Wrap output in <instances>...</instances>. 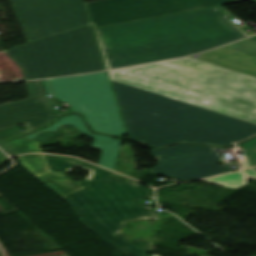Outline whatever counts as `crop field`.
<instances>
[{
  "label": "crop field",
  "mask_w": 256,
  "mask_h": 256,
  "mask_svg": "<svg viewBox=\"0 0 256 256\" xmlns=\"http://www.w3.org/2000/svg\"><path fill=\"white\" fill-rule=\"evenodd\" d=\"M152 256H158V255L152 254Z\"/></svg>",
  "instance_id": "24"
},
{
  "label": "crop field",
  "mask_w": 256,
  "mask_h": 256,
  "mask_svg": "<svg viewBox=\"0 0 256 256\" xmlns=\"http://www.w3.org/2000/svg\"><path fill=\"white\" fill-rule=\"evenodd\" d=\"M44 156L52 172L59 171L65 174L75 166L81 167L90 171L85 181L113 179L118 175L78 159L53 156V155H44Z\"/></svg>",
  "instance_id": "13"
},
{
  "label": "crop field",
  "mask_w": 256,
  "mask_h": 256,
  "mask_svg": "<svg viewBox=\"0 0 256 256\" xmlns=\"http://www.w3.org/2000/svg\"><path fill=\"white\" fill-rule=\"evenodd\" d=\"M4 52L23 68L25 80L105 70L90 25Z\"/></svg>",
  "instance_id": "4"
},
{
  "label": "crop field",
  "mask_w": 256,
  "mask_h": 256,
  "mask_svg": "<svg viewBox=\"0 0 256 256\" xmlns=\"http://www.w3.org/2000/svg\"><path fill=\"white\" fill-rule=\"evenodd\" d=\"M248 178L256 179V170L254 168L203 180V181L238 189L242 185L247 184L246 181L248 180Z\"/></svg>",
  "instance_id": "14"
},
{
  "label": "crop field",
  "mask_w": 256,
  "mask_h": 256,
  "mask_svg": "<svg viewBox=\"0 0 256 256\" xmlns=\"http://www.w3.org/2000/svg\"><path fill=\"white\" fill-rule=\"evenodd\" d=\"M86 188L63 197L84 223L111 245L133 255L149 256L151 242H129L119 236L125 222L158 219L151 209L138 206L136 198H154L153 190L128 181L80 183Z\"/></svg>",
  "instance_id": "3"
},
{
  "label": "crop field",
  "mask_w": 256,
  "mask_h": 256,
  "mask_svg": "<svg viewBox=\"0 0 256 256\" xmlns=\"http://www.w3.org/2000/svg\"><path fill=\"white\" fill-rule=\"evenodd\" d=\"M56 133L57 132H41L33 140L26 141L25 137H21L19 139L8 142V144L15 152V154L24 152H42L38 143L55 137Z\"/></svg>",
  "instance_id": "15"
},
{
  "label": "crop field",
  "mask_w": 256,
  "mask_h": 256,
  "mask_svg": "<svg viewBox=\"0 0 256 256\" xmlns=\"http://www.w3.org/2000/svg\"><path fill=\"white\" fill-rule=\"evenodd\" d=\"M241 146L246 150L253 165H256V138L241 144Z\"/></svg>",
  "instance_id": "16"
},
{
  "label": "crop field",
  "mask_w": 256,
  "mask_h": 256,
  "mask_svg": "<svg viewBox=\"0 0 256 256\" xmlns=\"http://www.w3.org/2000/svg\"><path fill=\"white\" fill-rule=\"evenodd\" d=\"M131 139L226 146L256 135V78L188 57L108 71Z\"/></svg>",
  "instance_id": "1"
},
{
  "label": "crop field",
  "mask_w": 256,
  "mask_h": 256,
  "mask_svg": "<svg viewBox=\"0 0 256 256\" xmlns=\"http://www.w3.org/2000/svg\"><path fill=\"white\" fill-rule=\"evenodd\" d=\"M26 84L29 99L0 105V128L25 123L27 133L55 119L43 97L41 82Z\"/></svg>",
  "instance_id": "9"
},
{
  "label": "crop field",
  "mask_w": 256,
  "mask_h": 256,
  "mask_svg": "<svg viewBox=\"0 0 256 256\" xmlns=\"http://www.w3.org/2000/svg\"><path fill=\"white\" fill-rule=\"evenodd\" d=\"M223 6L95 29L108 69L181 57L249 36Z\"/></svg>",
  "instance_id": "2"
},
{
  "label": "crop field",
  "mask_w": 256,
  "mask_h": 256,
  "mask_svg": "<svg viewBox=\"0 0 256 256\" xmlns=\"http://www.w3.org/2000/svg\"><path fill=\"white\" fill-rule=\"evenodd\" d=\"M18 158L19 160H22L21 162L23 163V165L34 174L49 172L50 174L38 176V178L46 183L48 186H50L62 197L85 188L62 174L51 173L43 155L33 154L20 156Z\"/></svg>",
  "instance_id": "11"
},
{
  "label": "crop field",
  "mask_w": 256,
  "mask_h": 256,
  "mask_svg": "<svg viewBox=\"0 0 256 256\" xmlns=\"http://www.w3.org/2000/svg\"><path fill=\"white\" fill-rule=\"evenodd\" d=\"M0 148L6 152L8 155H12L11 151L8 149V147L5 145V143L0 145Z\"/></svg>",
  "instance_id": "20"
},
{
  "label": "crop field",
  "mask_w": 256,
  "mask_h": 256,
  "mask_svg": "<svg viewBox=\"0 0 256 256\" xmlns=\"http://www.w3.org/2000/svg\"><path fill=\"white\" fill-rule=\"evenodd\" d=\"M59 121H60V120H59ZM59 121H57L56 123H54L51 127L47 128V129H44V130H41V131H57ZM39 132H40V131H38V132H36V133H33V134H30V135H27V138H28V139H32V138L36 137Z\"/></svg>",
  "instance_id": "18"
},
{
  "label": "crop field",
  "mask_w": 256,
  "mask_h": 256,
  "mask_svg": "<svg viewBox=\"0 0 256 256\" xmlns=\"http://www.w3.org/2000/svg\"><path fill=\"white\" fill-rule=\"evenodd\" d=\"M6 157L1 151H0V158Z\"/></svg>",
  "instance_id": "23"
},
{
  "label": "crop field",
  "mask_w": 256,
  "mask_h": 256,
  "mask_svg": "<svg viewBox=\"0 0 256 256\" xmlns=\"http://www.w3.org/2000/svg\"><path fill=\"white\" fill-rule=\"evenodd\" d=\"M3 140H6V139H3ZM3 140H0V141H3Z\"/></svg>",
  "instance_id": "25"
},
{
  "label": "crop field",
  "mask_w": 256,
  "mask_h": 256,
  "mask_svg": "<svg viewBox=\"0 0 256 256\" xmlns=\"http://www.w3.org/2000/svg\"><path fill=\"white\" fill-rule=\"evenodd\" d=\"M256 169V168H255Z\"/></svg>",
  "instance_id": "27"
},
{
  "label": "crop field",
  "mask_w": 256,
  "mask_h": 256,
  "mask_svg": "<svg viewBox=\"0 0 256 256\" xmlns=\"http://www.w3.org/2000/svg\"><path fill=\"white\" fill-rule=\"evenodd\" d=\"M197 58L256 77V37L224 46Z\"/></svg>",
  "instance_id": "10"
},
{
  "label": "crop field",
  "mask_w": 256,
  "mask_h": 256,
  "mask_svg": "<svg viewBox=\"0 0 256 256\" xmlns=\"http://www.w3.org/2000/svg\"><path fill=\"white\" fill-rule=\"evenodd\" d=\"M152 156L158 164L150 172L178 179L180 181L227 172L219 166V160L211 153L210 147L178 145L164 150H153Z\"/></svg>",
  "instance_id": "8"
},
{
  "label": "crop field",
  "mask_w": 256,
  "mask_h": 256,
  "mask_svg": "<svg viewBox=\"0 0 256 256\" xmlns=\"http://www.w3.org/2000/svg\"><path fill=\"white\" fill-rule=\"evenodd\" d=\"M240 1H243V0H240Z\"/></svg>",
  "instance_id": "26"
},
{
  "label": "crop field",
  "mask_w": 256,
  "mask_h": 256,
  "mask_svg": "<svg viewBox=\"0 0 256 256\" xmlns=\"http://www.w3.org/2000/svg\"><path fill=\"white\" fill-rule=\"evenodd\" d=\"M43 81L48 95L83 114L94 130L117 136L125 132L105 72Z\"/></svg>",
  "instance_id": "5"
},
{
  "label": "crop field",
  "mask_w": 256,
  "mask_h": 256,
  "mask_svg": "<svg viewBox=\"0 0 256 256\" xmlns=\"http://www.w3.org/2000/svg\"><path fill=\"white\" fill-rule=\"evenodd\" d=\"M237 0H100L85 3L94 27L203 8Z\"/></svg>",
  "instance_id": "7"
},
{
  "label": "crop field",
  "mask_w": 256,
  "mask_h": 256,
  "mask_svg": "<svg viewBox=\"0 0 256 256\" xmlns=\"http://www.w3.org/2000/svg\"><path fill=\"white\" fill-rule=\"evenodd\" d=\"M215 149H216V148L211 147L212 153L216 156L217 159L220 160V158L222 157V153H217V152H215V151H214Z\"/></svg>",
  "instance_id": "21"
},
{
  "label": "crop field",
  "mask_w": 256,
  "mask_h": 256,
  "mask_svg": "<svg viewBox=\"0 0 256 256\" xmlns=\"http://www.w3.org/2000/svg\"><path fill=\"white\" fill-rule=\"evenodd\" d=\"M83 122V121H82ZM81 122L79 115H70L61 118L60 125L72 124L77 127L82 133L93 138L90 147L103 150L99 160V166H103L112 170L119 152L122 140H113L112 137L102 135H92L84 124Z\"/></svg>",
  "instance_id": "12"
},
{
  "label": "crop field",
  "mask_w": 256,
  "mask_h": 256,
  "mask_svg": "<svg viewBox=\"0 0 256 256\" xmlns=\"http://www.w3.org/2000/svg\"><path fill=\"white\" fill-rule=\"evenodd\" d=\"M27 42L91 23L83 0H11Z\"/></svg>",
  "instance_id": "6"
},
{
  "label": "crop field",
  "mask_w": 256,
  "mask_h": 256,
  "mask_svg": "<svg viewBox=\"0 0 256 256\" xmlns=\"http://www.w3.org/2000/svg\"><path fill=\"white\" fill-rule=\"evenodd\" d=\"M10 160L9 157L8 158H4V159H0V165L3 164L4 162Z\"/></svg>",
  "instance_id": "22"
},
{
  "label": "crop field",
  "mask_w": 256,
  "mask_h": 256,
  "mask_svg": "<svg viewBox=\"0 0 256 256\" xmlns=\"http://www.w3.org/2000/svg\"><path fill=\"white\" fill-rule=\"evenodd\" d=\"M18 135H22V134L13 128L0 130V139L15 137Z\"/></svg>",
  "instance_id": "17"
},
{
  "label": "crop field",
  "mask_w": 256,
  "mask_h": 256,
  "mask_svg": "<svg viewBox=\"0 0 256 256\" xmlns=\"http://www.w3.org/2000/svg\"><path fill=\"white\" fill-rule=\"evenodd\" d=\"M243 158H244V160L241 162V163H242V165H243V167H245V168H247V167H251L252 165H251V163H250V161H249L248 157H247V156H245V157H243Z\"/></svg>",
  "instance_id": "19"
}]
</instances>
